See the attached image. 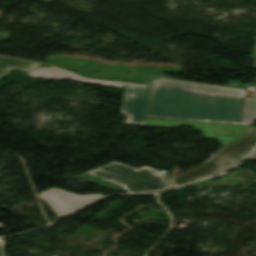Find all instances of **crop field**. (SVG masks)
Wrapping results in <instances>:
<instances>
[{
  "label": "crop field",
  "instance_id": "6",
  "mask_svg": "<svg viewBox=\"0 0 256 256\" xmlns=\"http://www.w3.org/2000/svg\"><path fill=\"white\" fill-rule=\"evenodd\" d=\"M38 196L48 204L58 217L102 197L100 194L79 196L56 188H52Z\"/></svg>",
  "mask_w": 256,
  "mask_h": 256
},
{
  "label": "crop field",
  "instance_id": "3",
  "mask_svg": "<svg viewBox=\"0 0 256 256\" xmlns=\"http://www.w3.org/2000/svg\"><path fill=\"white\" fill-rule=\"evenodd\" d=\"M256 145V128L250 127L243 136L218 150L200 166L170 178L176 186L224 172L236 165Z\"/></svg>",
  "mask_w": 256,
  "mask_h": 256
},
{
  "label": "crop field",
  "instance_id": "12",
  "mask_svg": "<svg viewBox=\"0 0 256 256\" xmlns=\"http://www.w3.org/2000/svg\"><path fill=\"white\" fill-rule=\"evenodd\" d=\"M0 256H2V254H1V249H0Z\"/></svg>",
  "mask_w": 256,
  "mask_h": 256
},
{
  "label": "crop field",
  "instance_id": "10",
  "mask_svg": "<svg viewBox=\"0 0 256 256\" xmlns=\"http://www.w3.org/2000/svg\"><path fill=\"white\" fill-rule=\"evenodd\" d=\"M246 159L256 160V150L253 153H251Z\"/></svg>",
  "mask_w": 256,
  "mask_h": 256
},
{
  "label": "crop field",
  "instance_id": "4",
  "mask_svg": "<svg viewBox=\"0 0 256 256\" xmlns=\"http://www.w3.org/2000/svg\"><path fill=\"white\" fill-rule=\"evenodd\" d=\"M152 86L126 84L121 114L126 124L145 126Z\"/></svg>",
  "mask_w": 256,
  "mask_h": 256
},
{
  "label": "crop field",
  "instance_id": "2",
  "mask_svg": "<svg viewBox=\"0 0 256 256\" xmlns=\"http://www.w3.org/2000/svg\"><path fill=\"white\" fill-rule=\"evenodd\" d=\"M158 172L149 167L135 169L112 161L88 174L119 184L130 194H149L173 188L168 180L157 174Z\"/></svg>",
  "mask_w": 256,
  "mask_h": 256
},
{
  "label": "crop field",
  "instance_id": "9",
  "mask_svg": "<svg viewBox=\"0 0 256 256\" xmlns=\"http://www.w3.org/2000/svg\"><path fill=\"white\" fill-rule=\"evenodd\" d=\"M251 57L255 59L254 65H253V68H252V69H256V43H255V45H254V48H253Z\"/></svg>",
  "mask_w": 256,
  "mask_h": 256
},
{
  "label": "crop field",
  "instance_id": "8",
  "mask_svg": "<svg viewBox=\"0 0 256 256\" xmlns=\"http://www.w3.org/2000/svg\"><path fill=\"white\" fill-rule=\"evenodd\" d=\"M41 64L0 57V78L11 69L29 72Z\"/></svg>",
  "mask_w": 256,
  "mask_h": 256
},
{
  "label": "crop field",
  "instance_id": "11",
  "mask_svg": "<svg viewBox=\"0 0 256 256\" xmlns=\"http://www.w3.org/2000/svg\"><path fill=\"white\" fill-rule=\"evenodd\" d=\"M39 1L50 3V2L55 1V0H39Z\"/></svg>",
  "mask_w": 256,
  "mask_h": 256
},
{
  "label": "crop field",
  "instance_id": "7",
  "mask_svg": "<svg viewBox=\"0 0 256 256\" xmlns=\"http://www.w3.org/2000/svg\"><path fill=\"white\" fill-rule=\"evenodd\" d=\"M26 76H35V77L50 78V79L71 78V79H73L75 81H79V82L112 85V86H119V87H122V85H123V84H119V83L87 80L85 78H82L80 76H77L75 74H72V73L66 72L64 70L57 69V68L36 69V70L26 74Z\"/></svg>",
  "mask_w": 256,
  "mask_h": 256
},
{
  "label": "crop field",
  "instance_id": "5",
  "mask_svg": "<svg viewBox=\"0 0 256 256\" xmlns=\"http://www.w3.org/2000/svg\"><path fill=\"white\" fill-rule=\"evenodd\" d=\"M180 125L194 126L195 130H202L204 132L203 137L218 140L223 146L240 138L242 134L249 128L244 126H231V125L153 120V119H147L146 126H159V127L173 128ZM198 126L203 128L200 129L198 128Z\"/></svg>",
  "mask_w": 256,
  "mask_h": 256
},
{
  "label": "crop field",
  "instance_id": "1",
  "mask_svg": "<svg viewBox=\"0 0 256 256\" xmlns=\"http://www.w3.org/2000/svg\"><path fill=\"white\" fill-rule=\"evenodd\" d=\"M148 117L245 124L256 120V92L158 80Z\"/></svg>",
  "mask_w": 256,
  "mask_h": 256
}]
</instances>
